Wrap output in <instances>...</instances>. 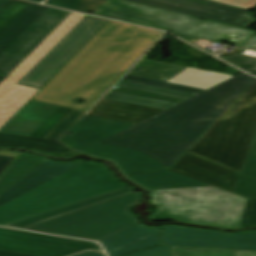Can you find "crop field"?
Here are the masks:
<instances>
[{
	"instance_id": "2",
	"label": "crop field",
	"mask_w": 256,
	"mask_h": 256,
	"mask_svg": "<svg viewBox=\"0 0 256 256\" xmlns=\"http://www.w3.org/2000/svg\"><path fill=\"white\" fill-rule=\"evenodd\" d=\"M255 80L232 77L100 143L144 152L169 168Z\"/></svg>"
},
{
	"instance_id": "48",
	"label": "crop field",
	"mask_w": 256,
	"mask_h": 256,
	"mask_svg": "<svg viewBox=\"0 0 256 256\" xmlns=\"http://www.w3.org/2000/svg\"><path fill=\"white\" fill-rule=\"evenodd\" d=\"M5 79V77L0 76V83Z\"/></svg>"
},
{
	"instance_id": "16",
	"label": "crop field",
	"mask_w": 256,
	"mask_h": 256,
	"mask_svg": "<svg viewBox=\"0 0 256 256\" xmlns=\"http://www.w3.org/2000/svg\"><path fill=\"white\" fill-rule=\"evenodd\" d=\"M56 105L29 100L0 130V133L29 137Z\"/></svg>"
},
{
	"instance_id": "32",
	"label": "crop field",
	"mask_w": 256,
	"mask_h": 256,
	"mask_svg": "<svg viewBox=\"0 0 256 256\" xmlns=\"http://www.w3.org/2000/svg\"><path fill=\"white\" fill-rule=\"evenodd\" d=\"M117 85L123 86V87L139 89V90L155 92V93L171 95V96L182 97V98H186V99L196 95V94H192V93H186V92H181V91H176V90H170V89H165V88H160V87L138 84V83L123 81V80H120L117 83Z\"/></svg>"
},
{
	"instance_id": "47",
	"label": "crop field",
	"mask_w": 256,
	"mask_h": 256,
	"mask_svg": "<svg viewBox=\"0 0 256 256\" xmlns=\"http://www.w3.org/2000/svg\"><path fill=\"white\" fill-rule=\"evenodd\" d=\"M29 1H33V2H41L43 0H29Z\"/></svg>"
},
{
	"instance_id": "33",
	"label": "crop field",
	"mask_w": 256,
	"mask_h": 256,
	"mask_svg": "<svg viewBox=\"0 0 256 256\" xmlns=\"http://www.w3.org/2000/svg\"><path fill=\"white\" fill-rule=\"evenodd\" d=\"M232 193L245 198H256V179L239 174Z\"/></svg>"
},
{
	"instance_id": "15",
	"label": "crop field",
	"mask_w": 256,
	"mask_h": 256,
	"mask_svg": "<svg viewBox=\"0 0 256 256\" xmlns=\"http://www.w3.org/2000/svg\"><path fill=\"white\" fill-rule=\"evenodd\" d=\"M160 227L148 228L138 224L100 243L109 256H119L155 246L159 242Z\"/></svg>"
},
{
	"instance_id": "18",
	"label": "crop field",
	"mask_w": 256,
	"mask_h": 256,
	"mask_svg": "<svg viewBox=\"0 0 256 256\" xmlns=\"http://www.w3.org/2000/svg\"><path fill=\"white\" fill-rule=\"evenodd\" d=\"M47 161L0 196V205L82 163Z\"/></svg>"
},
{
	"instance_id": "20",
	"label": "crop field",
	"mask_w": 256,
	"mask_h": 256,
	"mask_svg": "<svg viewBox=\"0 0 256 256\" xmlns=\"http://www.w3.org/2000/svg\"><path fill=\"white\" fill-rule=\"evenodd\" d=\"M48 7L30 3L0 32V54L18 38Z\"/></svg>"
},
{
	"instance_id": "24",
	"label": "crop field",
	"mask_w": 256,
	"mask_h": 256,
	"mask_svg": "<svg viewBox=\"0 0 256 256\" xmlns=\"http://www.w3.org/2000/svg\"><path fill=\"white\" fill-rule=\"evenodd\" d=\"M207 73L208 72L187 68L168 82L208 89L231 77L214 73L209 75Z\"/></svg>"
},
{
	"instance_id": "7",
	"label": "crop field",
	"mask_w": 256,
	"mask_h": 256,
	"mask_svg": "<svg viewBox=\"0 0 256 256\" xmlns=\"http://www.w3.org/2000/svg\"><path fill=\"white\" fill-rule=\"evenodd\" d=\"M103 118L85 115L80 122L50 149L49 154L74 155L82 151L88 155L111 159L126 176L163 169L159 162L146 154L123 147L97 144L98 142L132 126Z\"/></svg>"
},
{
	"instance_id": "4",
	"label": "crop field",
	"mask_w": 256,
	"mask_h": 256,
	"mask_svg": "<svg viewBox=\"0 0 256 256\" xmlns=\"http://www.w3.org/2000/svg\"><path fill=\"white\" fill-rule=\"evenodd\" d=\"M126 187L106 167L85 162L0 206V226Z\"/></svg>"
},
{
	"instance_id": "29",
	"label": "crop field",
	"mask_w": 256,
	"mask_h": 256,
	"mask_svg": "<svg viewBox=\"0 0 256 256\" xmlns=\"http://www.w3.org/2000/svg\"><path fill=\"white\" fill-rule=\"evenodd\" d=\"M103 98L109 99V100H114V101L156 107V108H161V109H165V110L174 106V104L163 103V102H158V101H153V100H148V99H142V98L127 96V95H121V94H116V93H111V92H108Z\"/></svg>"
},
{
	"instance_id": "42",
	"label": "crop field",
	"mask_w": 256,
	"mask_h": 256,
	"mask_svg": "<svg viewBox=\"0 0 256 256\" xmlns=\"http://www.w3.org/2000/svg\"><path fill=\"white\" fill-rule=\"evenodd\" d=\"M242 48L256 50V34L251 37L245 44L241 46Z\"/></svg>"
},
{
	"instance_id": "45",
	"label": "crop field",
	"mask_w": 256,
	"mask_h": 256,
	"mask_svg": "<svg viewBox=\"0 0 256 256\" xmlns=\"http://www.w3.org/2000/svg\"><path fill=\"white\" fill-rule=\"evenodd\" d=\"M74 256H105L103 253H97V252H86Z\"/></svg>"
},
{
	"instance_id": "11",
	"label": "crop field",
	"mask_w": 256,
	"mask_h": 256,
	"mask_svg": "<svg viewBox=\"0 0 256 256\" xmlns=\"http://www.w3.org/2000/svg\"><path fill=\"white\" fill-rule=\"evenodd\" d=\"M87 249L101 250L97 243L36 234L0 227V250L42 256H69Z\"/></svg>"
},
{
	"instance_id": "28",
	"label": "crop field",
	"mask_w": 256,
	"mask_h": 256,
	"mask_svg": "<svg viewBox=\"0 0 256 256\" xmlns=\"http://www.w3.org/2000/svg\"><path fill=\"white\" fill-rule=\"evenodd\" d=\"M174 256H238L236 250L172 247Z\"/></svg>"
},
{
	"instance_id": "31",
	"label": "crop field",
	"mask_w": 256,
	"mask_h": 256,
	"mask_svg": "<svg viewBox=\"0 0 256 256\" xmlns=\"http://www.w3.org/2000/svg\"><path fill=\"white\" fill-rule=\"evenodd\" d=\"M110 91L116 92V93L132 95V96H137V97H142V98L163 101V102L174 103V104H178V103L186 100V99H182V98H176V97H171V96H166V95H160V94H155V93H150V92L128 89V88H123V87H119V86L117 88H113Z\"/></svg>"
},
{
	"instance_id": "35",
	"label": "crop field",
	"mask_w": 256,
	"mask_h": 256,
	"mask_svg": "<svg viewBox=\"0 0 256 256\" xmlns=\"http://www.w3.org/2000/svg\"><path fill=\"white\" fill-rule=\"evenodd\" d=\"M122 79L123 80H128V81H133V82L149 84V85L165 87V88L181 90V91L192 92V93H196V94H199V93L205 91L203 89H197V88H192V87L169 84V83H166L164 81H158V80H152V79H146V78H140V77H134V76H128V75H125Z\"/></svg>"
},
{
	"instance_id": "22",
	"label": "crop field",
	"mask_w": 256,
	"mask_h": 256,
	"mask_svg": "<svg viewBox=\"0 0 256 256\" xmlns=\"http://www.w3.org/2000/svg\"><path fill=\"white\" fill-rule=\"evenodd\" d=\"M45 159L22 153L0 179V195L27 176L41 164Z\"/></svg>"
},
{
	"instance_id": "40",
	"label": "crop field",
	"mask_w": 256,
	"mask_h": 256,
	"mask_svg": "<svg viewBox=\"0 0 256 256\" xmlns=\"http://www.w3.org/2000/svg\"><path fill=\"white\" fill-rule=\"evenodd\" d=\"M214 1L226 3L229 5L237 6V7L248 9V10L256 6V0H214Z\"/></svg>"
},
{
	"instance_id": "39",
	"label": "crop field",
	"mask_w": 256,
	"mask_h": 256,
	"mask_svg": "<svg viewBox=\"0 0 256 256\" xmlns=\"http://www.w3.org/2000/svg\"><path fill=\"white\" fill-rule=\"evenodd\" d=\"M127 256H173L171 247L158 246L138 253Z\"/></svg>"
},
{
	"instance_id": "34",
	"label": "crop field",
	"mask_w": 256,
	"mask_h": 256,
	"mask_svg": "<svg viewBox=\"0 0 256 256\" xmlns=\"http://www.w3.org/2000/svg\"><path fill=\"white\" fill-rule=\"evenodd\" d=\"M85 112L72 111L65 117L48 135L45 139L58 140Z\"/></svg>"
},
{
	"instance_id": "21",
	"label": "crop field",
	"mask_w": 256,
	"mask_h": 256,
	"mask_svg": "<svg viewBox=\"0 0 256 256\" xmlns=\"http://www.w3.org/2000/svg\"><path fill=\"white\" fill-rule=\"evenodd\" d=\"M130 179L148 189L207 186L206 184L197 180L188 178L169 170L130 177Z\"/></svg>"
},
{
	"instance_id": "37",
	"label": "crop field",
	"mask_w": 256,
	"mask_h": 256,
	"mask_svg": "<svg viewBox=\"0 0 256 256\" xmlns=\"http://www.w3.org/2000/svg\"><path fill=\"white\" fill-rule=\"evenodd\" d=\"M256 226V199H247L240 228ZM239 228V229H240Z\"/></svg>"
},
{
	"instance_id": "14",
	"label": "crop field",
	"mask_w": 256,
	"mask_h": 256,
	"mask_svg": "<svg viewBox=\"0 0 256 256\" xmlns=\"http://www.w3.org/2000/svg\"><path fill=\"white\" fill-rule=\"evenodd\" d=\"M71 12L49 7L17 40L0 55V75L7 76ZM37 29H40L39 31Z\"/></svg>"
},
{
	"instance_id": "17",
	"label": "crop field",
	"mask_w": 256,
	"mask_h": 256,
	"mask_svg": "<svg viewBox=\"0 0 256 256\" xmlns=\"http://www.w3.org/2000/svg\"><path fill=\"white\" fill-rule=\"evenodd\" d=\"M164 110L101 99L88 115L137 124Z\"/></svg>"
},
{
	"instance_id": "19",
	"label": "crop field",
	"mask_w": 256,
	"mask_h": 256,
	"mask_svg": "<svg viewBox=\"0 0 256 256\" xmlns=\"http://www.w3.org/2000/svg\"><path fill=\"white\" fill-rule=\"evenodd\" d=\"M133 192H136V191L130 187H126V188L116 190V191H113V192H110V193H107V194H104L101 196H97V197H94V198H91V199H88L85 201L75 203V204H72V205H69L66 207H62V208H59V209H56V210H53L50 212H46V213H43V214H40V215H37L34 217H30V218H27V219H24V220H21L18 222H14V223L5 225V227L22 229V228H25V227H28V226H31V225H34L37 223H41V222H44V221L74 212V211H77V210H81V209H84V208H87V207H90V206H93V205H96V204H99V203H102V202H105V201H108V200H111V199H114L117 197H121V196L130 194Z\"/></svg>"
},
{
	"instance_id": "12",
	"label": "crop field",
	"mask_w": 256,
	"mask_h": 256,
	"mask_svg": "<svg viewBox=\"0 0 256 256\" xmlns=\"http://www.w3.org/2000/svg\"><path fill=\"white\" fill-rule=\"evenodd\" d=\"M160 245L256 250V231L229 234L175 226H163Z\"/></svg>"
},
{
	"instance_id": "3",
	"label": "crop field",
	"mask_w": 256,
	"mask_h": 256,
	"mask_svg": "<svg viewBox=\"0 0 256 256\" xmlns=\"http://www.w3.org/2000/svg\"><path fill=\"white\" fill-rule=\"evenodd\" d=\"M256 130V81L187 150L240 171ZM169 170L232 192L238 173L185 153Z\"/></svg>"
},
{
	"instance_id": "43",
	"label": "crop field",
	"mask_w": 256,
	"mask_h": 256,
	"mask_svg": "<svg viewBox=\"0 0 256 256\" xmlns=\"http://www.w3.org/2000/svg\"><path fill=\"white\" fill-rule=\"evenodd\" d=\"M0 256H36V255L15 253V252H8V251H0Z\"/></svg>"
},
{
	"instance_id": "41",
	"label": "crop field",
	"mask_w": 256,
	"mask_h": 256,
	"mask_svg": "<svg viewBox=\"0 0 256 256\" xmlns=\"http://www.w3.org/2000/svg\"><path fill=\"white\" fill-rule=\"evenodd\" d=\"M15 157L0 154V175L7 168V166L13 161Z\"/></svg>"
},
{
	"instance_id": "36",
	"label": "crop field",
	"mask_w": 256,
	"mask_h": 256,
	"mask_svg": "<svg viewBox=\"0 0 256 256\" xmlns=\"http://www.w3.org/2000/svg\"><path fill=\"white\" fill-rule=\"evenodd\" d=\"M240 172L250 177H256V133Z\"/></svg>"
},
{
	"instance_id": "38",
	"label": "crop field",
	"mask_w": 256,
	"mask_h": 256,
	"mask_svg": "<svg viewBox=\"0 0 256 256\" xmlns=\"http://www.w3.org/2000/svg\"><path fill=\"white\" fill-rule=\"evenodd\" d=\"M247 72H256V58L235 54L225 58Z\"/></svg>"
},
{
	"instance_id": "6",
	"label": "crop field",
	"mask_w": 256,
	"mask_h": 256,
	"mask_svg": "<svg viewBox=\"0 0 256 256\" xmlns=\"http://www.w3.org/2000/svg\"><path fill=\"white\" fill-rule=\"evenodd\" d=\"M94 15L239 47L254 31L120 0H107ZM157 24V25H155Z\"/></svg>"
},
{
	"instance_id": "49",
	"label": "crop field",
	"mask_w": 256,
	"mask_h": 256,
	"mask_svg": "<svg viewBox=\"0 0 256 256\" xmlns=\"http://www.w3.org/2000/svg\"><path fill=\"white\" fill-rule=\"evenodd\" d=\"M251 74H253V75H255V76H256V73H251Z\"/></svg>"
},
{
	"instance_id": "25",
	"label": "crop field",
	"mask_w": 256,
	"mask_h": 256,
	"mask_svg": "<svg viewBox=\"0 0 256 256\" xmlns=\"http://www.w3.org/2000/svg\"><path fill=\"white\" fill-rule=\"evenodd\" d=\"M56 141L39 140L32 138H25L19 136H12L0 134V147H24L31 148L43 153H48L49 149Z\"/></svg>"
},
{
	"instance_id": "44",
	"label": "crop field",
	"mask_w": 256,
	"mask_h": 256,
	"mask_svg": "<svg viewBox=\"0 0 256 256\" xmlns=\"http://www.w3.org/2000/svg\"><path fill=\"white\" fill-rule=\"evenodd\" d=\"M239 256H256V251L237 250Z\"/></svg>"
},
{
	"instance_id": "9",
	"label": "crop field",
	"mask_w": 256,
	"mask_h": 256,
	"mask_svg": "<svg viewBox=\"0 0 256 256\" xmlns=\"http://www.w3.org/2000/svg\"><path fill=\"white\" fill-rule=\"evenodd\" d=\"M72 12L25 60L0 84V129L38 91L16 85L82 18Z\"/></svg>"
},
{
	"instance_id": "10",
	"label": "crop field",
	"mask_w": 256,
	"mask_h": 256,
	"mask_svg": "<svg viewBox=\"0 0 256 256\" xmlns=\"http://www.w3.org/2000/svg\"><path fill=\"white\" fill-rule=\"evenodd\" d=\"M106 19H82L18 84L40 89L93 36Z\"/></svg>"
},
{
	"instance_id": "1",
	"label": "crop field",
	"mask_w": 256,
	"mask_h": 256,
	"mask_svg": "<svg viewBox=\"0 0 256 256\" xmlns=\"http://www.w3.org/2000/svg\"><path fill=\"white\" fill-rule=\"evenodd\" d=\"M162 34L108 20L31 99L87 111Z\"/></svg>"
},
{
	"instance_id": "46",
	"label": "crop field",
	"mask_w": 256,
	"mask_h": 256,
	"mask_svg": "<svg viewBox=\"0 0 256 256\" xmlns=\"http://www.w3.org/2000/svg\"><path fill=\"white\" fill-rule=\"evenodd\" d=\"M9 0H0V9L8 2Z\"/></svg>"
},
{
	"instance_id": "8",
	"label": "crop field",
	"mask_w": 256,
	"mask_h": 256,
	"mask_svg": "<svg viewBox=\"0 0 256 256\" xmlns=\"http://www.w3.org/2000/svg\"><path fill=\"white\" fill-rule=\"evenodd\" d=\"M140 199V193L136 192L24 230L100 241L140 223L129 212Z\"/></svg>"
},
{
	"instance_id": "30",
	"label": "crop field",
	"mask_w": 256,
	"mask_h": 256,
	"mask_svg": "<svg viewBox=\"0 0 256 256\" xmlns=\"http://www.w3.org/2000/svg\"><path fill=\"white\" fill-rule=\"evenodd\" d=\"M29 2L10 0L0 10V31L11 22L27 5Z\"/></svg>"
},
{
	"instance_id": "26",
	"label": "crop field",
	"mask_w": 256,
	"mask_h": 256,
	"mask_svg": "<svg viewBox=\"0 0 256 256\" xmlns=\"http://www.w3.org/2000/svg\"><path fill=\"white\" fill-rule=\"evenodd\" d=\"M73 109L58 106L30 135L32 138L44 139L45 136Z\"/></svg>"
},
{
	"instance_id": "23",
	"label": "crop field",
	"mask_w": 256,
	"mask_h": 256,
	"mask_svg": "<svg viewBox=\"0 0 256 256\" xmlns=\"http://www.w3.org/2000/svg\"><path fill=\"white\" fill-rule=\"evenodd\" d=\"M146 61L149 60L141 59L127 74L168 81L185 69V67L159 63L154 61H149L152 63L148 64L145 63Z\"/></svg>"
},
{
	"instance_id": "5",
	"label": "crop field",
	"mask_w": 256,
	"mask_h": 256,
	"mask_svg": "<svg viewBox=\"0 0 256 256\" xmlns=\"http://www.w3.org/2000/svg\"><path fill=\"white\" fill-rule=\"evenodd\" d=\"M159 208L149 220H180L188 223L238 229L245 198L214 187L148 190Z\"/></svg>"
},
{
	"instance_id": "27",
	"label": "crop field",
	"mask_w": 256,
	"mask_h": 256,
	"mask_svg": "<svg viewBox=\"0 0 256 256\" xmlns=\"http://www.w3.org/2000/svg\"><path fill=\"white\" fill-rule=\"evenodd\" d=\"M106 0H47L45 4L87 13L96 10Z\"/></svg>"
},
{
	"instance_id": "13",
	"label": "crop field",
	"mask_w": 256,
	"mask_h": 256,
	"mask_svg": "<svg viewBox=\"0 0 256 256\" xmlns=\"http://www.w3.org/2000/svg\"><path fill=\"white\" fill-rule=\"evenodd\" d=\"M137 4L155 7L167 11L181 13L189 16L210 19L232 25L249 28L256 20L251 16L248 10L237 7L208 1L207 4L192 0H125Z\"/></svg>"
}]
</instances>
